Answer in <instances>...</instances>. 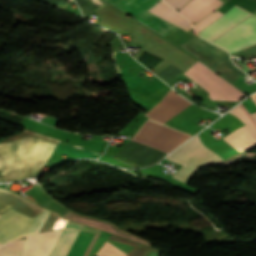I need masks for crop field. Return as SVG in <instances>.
Listing matches in <instances>:
<instances>
[{
	"label": "crop field",
	"mask_w": 256,
	"mask_h": 256,
	"mask_svg": "<svg viewBox=\"0 0 256 256\" xmlns=\"http://www.w3.org/2000/svg\"><path fill=\"white\" fill-rule=\"evenodd\" d=\"M61 232L62 230L27 236L22 256H48Z\"/></svg>",
	"instance_id": "10"
},
{
	"label": "crop field",
	"mask_w": 256,
	"mask_h": 256,
	"mask_svg": "<svg viewBox=\"0 0 256 256\" xmlns=\"http://www.w3.org/2000/svg\"><path fill=\"white\" fill-rule=\"evenodd\" d=\"M221 3L220 0H190L178 13L195 23Z\"/></svg>",
	"instance_id": "12"
},
{
	"label": "crop field",
	"mask_w": 256,
	"mask_h": 256,
	"mask_svg": "<svg viewBox=\"0 0 256 256\" xmlns=\"http://www.w3.org/2000/svg\"><path fill=\"white\" fill-rule=\"evenodd\" d=\"M218 71L221 75H223L227 80L231 83L244 76L235 65H233L230 61V57L225 58L221 62L217 63L213 67H211Z\"/></svg>",
	"instance_id": "17"
},
{
	"label": "crop field",
	"mask_w": 256,
	"mask_h": 256,
	"mask_svg": "<svg viewBox=\"0 0 256 256\" xmlns=\"http://www.w3.org/2000/svg\"><path fill=\"white\" fill-rule=\"evenodd\" d=\"M166 154L147 146L130 141L115 158L134 167H144L158 161Z\"/></svg>",
	"instance_id": "7"
},
{
	"label": "crop field",
	"mask_w": 256,
	"mask_h": 256,
	"mask_svg": "<svg viewBox=\"0 0 256 256\" xmlns=\"http://www.w3.org/2000/svg\"><path fill=\"white\" fill-rule=\"evenodd\" d=\"M58 142V139L26 129L0 142L1 180H16L36 175L47 163Z\"/></svg>",
	"instance_id": "1"
},
{
	"label": "crop field",
	"mask_w": 256,
	"mask_h": 256,
	"mask_svg": "<svg viewBox=\"0 0 256 256\" xmlns=\"http://www.w3.org/2000/svg\"><path fill=\"white\" fill-rule=\"evenodd\" d=\"M98 256H125L123 252L106 242L103 248L96 254Z\"/></svg>",
	"instance_id": "20"
},
{
	"label": "crop field",
	"mask_w": 256,
	"mask_h": 256,
	"mask_svg": "<svg viewBox=\"0 0 256 256\" xmlns=\"http://www.w3.org/2000/svg\"><path fill=\"white\" fill-rule=\"evenodd\" d=\"M209 67L228 56V53L202 39L194 37L179 45Z\"/></svg>",
	"instance_id": "9"
},
{
	"label": "crop field",
	"mask_w": 256,
	"mask_h": 256,
	"mask_svg": "<svg viewBox=\"0 0 256 256\" xmlns=\"http://www.w3.org/2000/svg\"><path fill=\"white\" fill-rule=\"evenodd\" d=\"M81 227L82 224L68 221L65 229L63 230L60 238L58 239L49 256H65Z\"/></svg>",
	"instance_id": "15"
},
{
	"label": "crop field",
	"mask_w": 256,
	"mask_h": 256,
	"mask_svg": "<svg viewBox=\"0 0 256 256\" xmlns=\"http://www.w3.org/2000/svg\"><path fill=\"white\" fill-rule=\"evenodd\" d=\"M95 256V255H94Z\"/></svg>",
	"instance_id": "27"
},
{
	"label": "crop field",
	"mask_w": 256,
	"mask_h": 256,
	"mask_svg": "<svg viewBox=\"0 0 256 256\" xmlns=\"http://www.w3.org/2000/svg\"><path fill=\"white\" fill-rule=\"evenodd\" d=\"M10 208L31 218L45 210L13 192L0 188V214Z\"/></svg>",
	"instance_id": "11"
},
{
	"label": "crop field",
	"mask_w": 256,
	"mask_h": 256,
	"mask_svg": "<svg viewBox=\"0 0 256 256\" xmlns=\"http://www.w3.org/2000/svg\"><path fill=\"white\" fill-rule=\"evenodd\" d=\"M190 79L210 92L212 100L239 101L245 94L197 61L185 73Z\"/></svg>",
	"instance_id": "4"
},
{
	"label": "crop field",
	"mask_w": 256,
	"mask_h": 256,
	"mask_svg": "<svg viewBox=\"0 0 256 256\" xmlns=\"http://www.w3.org/2000/svg\"><path fill=\"white\" fill-rule=\"evenodd\" d=\"M250 55L256 57V46L251 47L249 49H246V50H244L242 52H239L237 54H234V56H241V57H244L245 59H248Z\"/></svg>",
	"instance_id": "22"
},
{
	"label": "crop field",
	"mask_w": 256,
	"mask_h": 256,
	"mask_svg": "<svg viewBox=\"0 0 256 256\" xmlns=\"http://www.w3.org/2000/svg\"><path fill=\"white\" fill-rule=\"evenodd\" d=\"M229 54L256 43V16L252 15L212 42Z\"/></svg>",
	"instance_id": "6"
},
{
	"label": "crop field",
	"mask_w": 256,
	"mask_h": 256,
	"mask_svg": "<svg viewBox=\"0 0 256 256\" xmlns=\"http://www.w3.org/2000/svg\"><path fill=\"white\" fill-rule=\"evenodd\" d=\"M252 98L255 100V102H256V94H254V95H252ZM253 100V101H254Z\"/></svg>",
	"instance_id": "25"
},
{
	"label": "crop field",
	"mask_w": 256,
	"mask_h": 256,
	"mask_svg": "<svg viewBox=\"0 0 256 256\" xmlns=\"http://www.w3.org/2000/svg\"><path fill=\"white\" fill-rule=\"evenodd\" d=\"M221 15H223V14H221L219 11L215 10L211 15L207 16L206 18L201 20L199 23L194 25L195 32L196 33L199 32L201 29H203L204 27L209 25L211 22H213L214 20L219 18Z\"/></svg>",
	"instance_id": "21"
},
{
	"label": "crop field",
	"mask_w": 256,
	"mask_h": 256,
	"mask_svg": "<svg viewBox=\"0 0 256 256\" xmlns=\"http://www.w3.org/2000/svg\"><path fill=\"white\" fill-rule=\"evenodd\" d=\"M82 230L100 233V230L83 225ZM98 235L80 231L67 256H87Z\"/></svg>",
	"instance_id": "13"
},
{
	"label": "crop field",
	"mask_w": 256,
	"mask_h": 256,
	"mask_svg": "<svg viewBox=\"0 0 256 256\" xmlns=\"http://www.w3.org/2000/svg\"><path fill=\"white\" fill-rule=\"evenodd\" d=\"M49 211L45 210L31 219L12 209L0 215V243L39 232Z\"/></svg>",
	"instance_id": "5"
},
{
	"label": "crop field",
	"mask_w": 256,
	"mask_h": 256,
	"mask_svg": "<svg viewBox=\"0 0 256 256\" xmlns=\"http://www.w3.org/2000/svg\"><path fill=\"white\" fill-rule=\"evenodd\" d=\"M150 13L174 24L187 31L192 28L191 24L162 0L151 7Z\"/></svg>",
	"instance_id": "14"
},
{
	"label": "crop field",
	"mask_w": 256,
	"mask_h": 256,
	"mask_svg": "<svg viewBox=\"0 0 256 256\" xmlns=\"http://www.w3.org/2000/svg\"><path fill=\"white\" fill-rule=\"evenodd\" d=\"M253 116V118L256 120V112L251 114Z\"/></svg>",
	"instance_id": "24"
},
{
	"label": "crop field",
	"mask_w": 256,
	"mask_h": 256,
	"mask_svg": "<svg viewBox=\"0 0 256 256\" xmlns=\"http://www.w3.org/2000/svg\"><path fill=\"white\" fill-rule=\"evenodd\" d=\"M249 15H251V13H248L235 6L228 13L220 17L218 20H216L197 34L211 42L226 31H228L230 28L247 18Z\"/></svg>",
	"instance_id": "8"
},
{
	"label": "crop field",
	"mask_w": 256,
	"mask_h": 256,
	"mask_svg": "<svg viewBox=\"0 0 256 256\" xmlns=\"http://www.w3.org/2000/svg\"><path fill=\"white\" fill-rule=\"evenodd\" d=\"M167 4L172 6L176 11L180 9L189 0H164Z\"/></svg>",
	"instance_id": "23"
},
{
	"label": "crop field",
	"mask_w": 256,
	"mask_h": 256,
	"mask_svg": "<svg viewBox=\"0 0 256 256\" xmlns=\"http://www.w3.org/2000/svg\"><path fill=\"white\" fill-rule=\"evenodd\" d=\"M24 240H15L0 247V256H21Z\"/></svg>",
	"instance_id": "19"
},
{
	"label": "crop field",
	"mask_w": 256,
	"mask_h": 256,
	"mask_svg": "<svg viewBox=\"0 0 256 256\" xmlns=\"http://www.w3.org/2000/svg\"><path fill=\"white\" fill-rule=\"evenodd\" d=\"M179 95L171 90L159 104L145 114L150 118L132 139L165 152L174 150L189 139L192 135L164 124V121L192 104Z\"/></svg>",
	"instance_id": "2"
},
{
	"label": "crop field",
	"mask_w": 256,
	"mask_h": 256,
	"mask_svg": "<svg viewBox=\"0 0 256 256\" xmlns=\"http://www.w3.org/2000/svg\"><path fill=\"white\" fill-rule=\"evenodd\" d=\"M222 138L225 139L228 143H230L240 152L256 146V139L248 132L245 126Z\"/></svg>",
	"instance_id": "16"
},
{
	"label": "crop field",
	"mask_w": 256,
	"mask_h": 256,
	"mask_svg": "<svg viewBox=\"0 0 256 256\" xmlns=\"http://www.w3.org/2000/svg\"><path fill=\"white\" fill-rule=\"evenodd\" d=\"M1 245V244H0Z\"/></svg>",
	"instance_id": "26"
},
{
	"label": "crop field",
	"mask_w": 256,
	"mask_h": 256,
	"mask_svg": "<svg viewBox=\"0 0 256 256\" xmlns=\"http://www.w3.org/2000/svg\"><path fill=\"white\" fill-rule=\"evenodd\" d=\"M229 113L239 117L242 120V122L245 124V126L248 128V130L256 138V122L242 103L238 105L236 108H234L232 111H230Z\"/></svg>",
	"instance_id": "18"
},
{
	"label": "crop field",
	"mask_w": 256,
	"mask_h": 256,
	"mask_svg": "<svg viewBox=\"0 0 256 256\" xmlns=\"http://www.w3.org/2000/svg\"><path fill=\"white\" fill-rule=\"evenodd\" d=\"M166 159L183 165L172 178L187 184L194 171L207 165H221L223 158L203 146L197 135Z\"/></svg>",
	"instance_id": "3"
}]
</instances>
